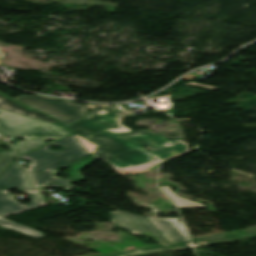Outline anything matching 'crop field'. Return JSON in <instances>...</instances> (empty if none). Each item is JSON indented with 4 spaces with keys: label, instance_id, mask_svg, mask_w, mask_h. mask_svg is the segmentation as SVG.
Returning <instances> with one entry per match:
<instances>
[{
    "label": "crop field",
    "instance_id": "obj_1",
    "mask_svg": "<svg viewBox=\"0 0 256 256\" xmlns=\"http://www.w3.org/2000/svg\"><path fill=\"white\" fill-rule=\"evenodd\" d=\"M89 140L100 145L94 159L105 160L121 174L154 170L161 161L190 150L188 143L168 140L150 130L123 135L107 133ZM144 145L153 150L148 152Z\"/></svg>",
    "mask_w": 256,
    "mask_h": 256
},
{
    "label": "crop field",
    "instance_id": "obj_2",
    "mask_svg": "<svg viewBox=\"0 0 256 256\" xmlns=\"http://www.w3.org/2000/svg\"><path fill=\"white\" fill-rule=\"evenodd\" d=\"M57 145L63 148L61 151H52L48 147ZM35 152L20 158L30 160L27 170L35 187H64V190L73 189L71 179L55 177L60 168H66L72 161L89 155L90 153L82 143L71 135Z\"/></svg>",
    "mask_w": 256,
    "mask_h": 256
},
{
    "label": "crop field",
    "instance_id": "obj_3",
    "mask_svg": "<svg viewBox=\"0 0 256 256\" xmlns=\"http://www.w3.org/2000/svg\"><path fill=\"white\" fill-rule=\"evenodd\" d=\"M0 133L23 136L26 140L13 145L17 156L46 144V139H59L72 134L60 124L55 125L0 109Z\"/></svg>",
    "mask_w": 256,
    "mask_h": 256
},
{
    "label": "crop field",
    "instance_id": "obj_4",
    "mask_svg": "<svg viewBox=\"0 0 256 256\" xmlns=\"http://www.w3.org/2000/svg\"><path fill=\"white\" fill-rule=\"evenodd\" d=\"M18 188L24 193L39 192L31 187L27 174L18 163H13L0 177V216L5 217L18 214L31 208L46 206L41 194L29 196L32 203L22 205L12 199V195L7 191Z\"/></svg>",
    "mask_w": 256,
    "mask_h": 256
},
{
    "label": "crop field",
    "instance_id": "obj_5",
    "mask_svg": "<svg viewBox=\"0 0 256 256\" xmlns=\"http://www.w3.org/2000/svg\"><path fill=\"white\" fill-rule=\"evenodd\" d=\"M133 116L131 111H124L120 105L89 112V116L75 124L67 126L70 130L86 138L106 132L122 133L131 131L122 121Z\"/></svg>",
    "mask_w": 256,
    "mask_h": 256
},
{
    "label": "crop field",
    "instance_id": "obj_6",
    "mask_svg": "<svg viewBox=\"0 0 256 256\" xmlns=\"http://www.w3.org/2000/svg\"><path fill=\"white\" fill-rule=\"evenodd\" d=\"M16 100L58 119L64 126L86 117L88 107L69 100L45 96H19Z\"/></svg>",
    "mask_w": 256,
    "mask_h": 256
},
{
    "label": "crop field",
    "instance_id": "obj_7",
    "mask_svg": "<svg viewBox=\"0 0 256 256\" xmlns=\"http://www.w3.org/2000/svg\"><path fill=\"white\" fill-rule=\"evenodd\" d=\"M111 223L133 234H142L144 236L151 237L163 246H170L144 216L122 211H113L111 212Z\"/></svg>",
    "mask_w": 256,
    "mask_h": 256
},
{
    "label": "crop field",
    "instance_id": "obj_8",
    "mask_svg": "<svg viewBox=\"0 0 256 256\" xmlns=\"http://www.w3.org/2000/svg\"><path fill=\"white\" fill-rule=\"evenodd\" d=\"M147 218L159 233L170 243V245L188 241L187 235L179 218Z\"/></svg>",
    "mask_w": 256,
    "mask_h": 256
},
{
    "label": "crop field",
    "instance_id": "obj_9",
    "mask_svg": "<svg viewBox=\"0 0 256 256\" xmlns=\"http://www.w3.org/2000/svg\"><path fill=\"white\" fill-rule=\"evenodd\" d=\"M0 108L1 109H4V110H7V111H11V112H15V113H19V114H23V115H26V116H30V117H34V118H38V119H41V120H44V121H47V122H52V123H55L57 121L37 112V111H30L2 96H0Z\"/></svg>",
    "mask_w": 256,
    "mask_h": 256
},
{
    "label": "crop field",
    "instance_id": "obj_10",
    "mask_svg": "<svg viewBox=\"0 0 256 256\" xmlns=\"http://www.w3.org/2000/svg\"><path fill=\"white\" fill-rule=\"evenodd\" d=\"M0 225L7 228V229H10L12 231L24 234V235L32 237V238L44 237V235L40 234L39 231L27 228L25 226L19 225V224L14 223V222H11V221L6 220L2 217H0Z\"/></svg>",
    "mask_w": 256,
    "mask_h": 256
},
{
    "label": "crop field",
    "instance_id": "obj_11",
    "mask_svg": "<svg viewBox=\"0 0 256 256\" xmlns=\"http://www.w3.org/2000/svg\"><path fill=\"white\" fill-rule=\"evenodd\" d=\"M161 189L171 198V200L174 202V204L177 206V208H194V207H206L202 204L189 201L183 198H180L173 194L172 190L169 188V186H163Z\"/></svg>",
    "mask_w": 256,
    "mask_h": 256
},
{
    "label": "crop field",
    "instance_id": "obj_12",
    "mask_svg": "<svg viewBox=\"0 0 256 256\" xmlns=\"http://www.w3.org/2000/svg\"><path fill=\"white\" fill-rule=\"evenodd\" d=\"M93 160L94 159L92 156L82 159V160H79V161L75 162L74 164L70 165L69 168L67 169V172L76 182L82 181L84 179H83V176H82L80 170L82 168H84L85 166L89 165Z\"/></svg>",
    "mask_w": 256,
    "mask_h": 256
},
{
    "label": "crop field",
    "instance_id": "obj_13",
    "mask_svg": "<svg viewBox=\"0 0 256 256\" xmlns=\"http://www.w3.org/2000/svg\"><path fill=\"white\" fill-rule=\"evenodd\" d=\"M15 158L13 152L2 151L0 154V173L12 162Z\"/></svg>",
    "mask_w": 256,
    "mask_h": 256
},
{
    "label": "crop field",
    "instance_id": "obj_14",
    "mask_svg": "<svg viewBox=\"0 0 256 256\" xmlns=\"http://www.w3.org/2000/svg\"><path fill=\"white\" fill-rule=\"evenodd\" d=\"M75 135H76V134H75ZM76 136L79 138V140L84 144V146L89 150V152H90L91 154L95 152V149H96L98 146H96V145L90 143L89 141H87V140L81 138V137L78 136V135H76ZM78 138H77V139H78ZM83 144H82V145H83ZM88 150H87V151H88Z\"/></svg>",
    "mask_w": 256,
    "mask_h": 256
},
{
    "label": "crop field",
    "instance_id": "obj_15",
    "mask_svg": "<svg viewBox=\"0 0 256 256\" xmlns=\"http://www.w3.org/2000/svg\"><path fill=\"white\" fill-rule=\"evenodd\" d=\"M189 85L198 86V87L207 88V89H213V90L218 89V87H212V86H207V85L195 84V83H192V82H190Z\"/></svg>",
    "mask_w": 256,
    "mask_h": 256
},
{
    "label": "crop field",
    "instance_id": "obj_16",
    "mask_svg": "<svg viewBox=\"0 0 256 256\" xmlns=\"http://www.w3.org/2000/svg\"><path fill=\"white\" fill-rule=\"evenodd\" d=\"M0 94H2V95H4V96L8 97L9 99L15 101L13 98H11V97H9V96H7V95L1 93V92H0ZM15 102H17V101H15ZM17 103H19V102H17ZM19 104H21V103H19ZM21 105H23V104H21ZM23 106H25V105H23ZM25 107H27V106H25ZM27 108H29V107H27ZM29 109H31V108H29Z\"/></svg>",
    "mask_w": 256,
    "mask_h": 256
},
{
    "label": "crop field",
    "instance_id": "obj_17",
    "mask_svg": "<svg viewBox=\"0 0 256 256\" xmlns=\"http://www.w3.org/2000/svg\"><path fill=\"white\" fill-rule=\"evenodd\" d=\"M4 53L3 51L0 50V60L2 59V57L4 56ZM1 64V63H0Z\"/></svg>",
    "mask_w": 256,
    "mask_h": 256
}]
</instances>
